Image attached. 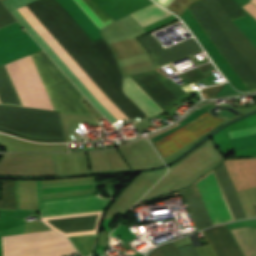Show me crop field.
Wrapping results in <instances>:
<instances>
[{
  "label": "crop field",
  "mask_w": 256,
  "mask_h": 256,
  "mask_svg": "<svg viewBox=\"0 0 256 256\" xmlns=\"http://www.w3.org/2000/svg\"><path fill=\"white\" fill-rule=\"evenodd\" d=\"M214 171L227 199L234 219L236 220L246 217L235 192L236 189L232 183V180L227 172L224 163L220 164L217 168L214 169Z\"/></svg>",
  "instance_id": "obj_13"
},
{
  "label": "crop field",
  "mask_w": 256,
  "mask_h": 256,
  "mask_svg": "<svg viewBox=\"0 0 256 256\" xmlns=\"http://www.w3.org/2000/svg\"><path fill=\"white\" fill-rule=\"evenodd\" d=\"M203 232L217 256H242L226 225Z\"/></svg>",
  "instance_id": "obj_12"
},
{
  "label": "crop field",
  "mask_w": 256,
  "mask_h": 256,
  "mask_svg": "<svg viewBox=\"0 0 256 256\" xmlns=\"http://www.w3.org/2000/svg\"><path fill=\"white\" fill-rule=\"evenodd\" d=\"M2 193L0 208L16 210L15 181H2Z\"/></svg>",
  "instance_id": "obj_18"
},
{
  "label": "crop field",
  "mask_w": 256,
  "mask_h": 256,
  "mask_svg": "<svg viewBox=\"0 0 256 256\" xmlns=\"http://www.w3.org/2000/svg\"><path fill=\"white\" fill-rule=\"evenodd\" d=\"M23 8L43 29V31L52 39V41L60 48V50L69 58V60L77 67V69L86 77V79L94 86V88L103 96V98L111 105V107L120 115V117L123 120H127L124 117V115L115 107V105L107 98V96L98 88V86L89 78V76L81 69V67L64 50V48L38 21V19L29 11V9L26 6H23ZM23 8L20 7L12 11V13L30 32V34L35 38V40L40 44V46L45 50V52L50 56V58L69 77V79L85 95V97L92 103V105L97 110H99L111 123L120 120L121 118L119 117V115L110 107V105L93 88V86L76 69V67L59 50V48L51 41V39L42 31V29L34 22V20L25 12Z\"/></svg>",
  "instance_id": "obj_1"
},
{
  "label": "crop field",
  "mask_w": 256,
  "mask_h": 256,
  "mask_svg": "<svg viewBox=\"0 0 256 256\" xmlns=\"http://www.w3.org/2000/svg\"><path fill=\"white\" fill-rule=\"evenodd\" d=\"M111 200L97 196L41 202V215L55 216L104 210Z\"/></svg>",
  "instance_id": "obj_8"
},
{
  "label": "crop field",
  "mask_w": 256,
  "mask_h": 256,
  "mask_svg": "<svg viewBox=\"0 0 256 256\" xmlns=\"http://www.w3.org/2000/svg\"><path fill=\"white\" fill-rule=\"evenodd\" d=\"M139 39L152 54L157 67L202 50L194 38L185 40L167 50L151 34Z\"/></svg>",
  "instance_id": "obj_10"
},
{
  "label": "crop field",
  "mask_w": 256,
  "mask_h": 256,
  "mask_svg": "<svg viewBox=\"0 0 256 256\" xmlns=\"http://www.w3.org/2000/svg\"><path fill=\"white\" fill-rule=\"evenodd\" d=\"M132 78L169 116L174 114L169 108L189 96L156 71L132 76Z\"/></svg>",
  "instance_id": "obj_6"
},
{
  "label": "crop field",
  "mask_w": 256,
  "mask_h": 256,
  "mask_svg": "<svg viewBox=\"0 0 256 256\" xmlns=\"http://www.w3.org/2000/svg\"><path fill=\"white\" fill-rule=\"evenodd\" d=\"M155 2H157V3H159V4H161V5H163V6H165L168 10H170L171 12H173V13H175V14H177V15H181L184 11H185V9L187 8V6L190 4V3H192L193 1H195V0H167V1H165V0H154ZM163 1H165V2H163ZM165 3L166 5H168V6H170L171 8H173L174 10H176V11H178L179 13H181V14H179L178 12H176V11H174L173 9H171L170 7H168V6H166L165 4H163V3ZM164 7V8H165Z\"/></svg>",
  "instance_id": "obj_19"
},
{
  "label": "crop field",
  "mask_w": 256,
  "mask_h": 256,
  "mask_svg": "<svg viewBox=\"0 0 256 256\" xmlns=\"http://www.w3.org/2000/svg\"><path fill=\"white\" fill-rule=\"evenodd\" d=\"M6 66L24 106L54 110L31 55Z\"/></svg>",
  "instance_id": "obj_4"
},
{
  "label": "crop field",
  "mask_w": 256,
  "mask_h": 256,
  "mask_svg": "<svg viewBox=\"0 0 256 256\" xmlns=\"http://www.w3.org/2000/svg\"><path fill=\"white\" fill-rule=\"evenodd\" d=\"M124 91L149 117L163 112L130 77L124 79Z\"/></svg>",
  "instance_id": "obj_14"
},
{
  "label": "crop field",
  "mask_w": 256,
  "mask_h": 256,
  "mask_svg": "<svg viewBox=\"0 0 256 256\" xmlns=\"http://www.w3.org/2000/svg\"><path fill=\"white\" fill-rule=\"evenodd\" d=\"M149 256H180V254L172 243L155 249Z\"/></svg>",
  "instance_id": "obj_20"
},
{
  "label": "crop field",
  "mask_w": 256,
  "mask_h": 256,
  "mask_svg": "<svg viewBox=\"0 0 256 256\" xmlns=\"http://www.w3.org/2000/svg\"><path fill=\"white\" fill-rule=\"evenodd\" d=\"M197 185L215 224L233 220L214 173L210 174Z\"/></svg>",
  "instance_id": "obj_9"
},
{
  "label": "crop field",
  "mask_w": 256,
  "mask_h": 256,
  "mask_svg": "<svg viewBox=\"0 0 256 256\" xmlns=\"http://www.w3.org/2000/svg\"><path fill=\"white\" fill-rule=\"evenodd\" d=\"M250 1H252L253 3H255V4H256V0H250Z\"/></svg>",
  "instance_id": "obj_23"
},
{
  "label": "crop field",
  "mask_w": 256,
  "mask_h": 256,
  "mask_svg": "<svg viewBox=\"0 0 256 256\" xmlns=\"http://www.w3.org/2000/svg\"><path fill=\"white\" fill-rule=\"evenodd\" d=\"M130 15L145 27L171 14L152 3Z\"/></svg>",
  "instance_id": "obj_16"
},
{
  "label": "crop field",
  "mask_w": 256,
  "mask_h": 256,
  "mask_svg": "<svg viewBox=\"0 0 256 256\" xmlns=\"http://www.w3.org/2000/svg\"><path fill=\"white\" fill-rule=\"evenodd\" d=\"M188 9L244 84L250 91L255 90L256 73L220 28L211 14L207 11L201 1L198 0L193 2Z\"/></svg>",
  "instance_id": "obj_2"
},
{
  "label": "crop field",
  "mask_w": 256,
  "mask_h": 256,
  "mask_svg": "<svg viewBox=\"0 0 256 256\" xmlns=\"http://www.w3.org/2000/svg\"><path fill=\"white\" fill-rule=\"evenodd\" d=\"M82 10L89 16V18L96 24V26L101 29L104 25L100 22V20L93 14V12L86 6V4L82 0H74Z\"/></svg>",
  "instance_id": "obj_21"
},
{
  "label": "crop field",
  "mask_w": 256,
  "mask_h": 256,
  "mask_svg": "<svg viewBox=\"0 0 256 256\" xmlns=\"http://www.w3.org/2000/svg\"><path fill=\"white\" fill-rule=\"evenodd\" d=\"M242 7L247 10L254 18H256V6L253 3L250 2Z\"/></svg>",
  "instance_id": "obj_22"
},
{
  "label": "crop field",
  "mask_w": 256,
  "mask_h": 256,
  "mask_svg": "<svg viewBox=\"0 0 256 256\" xmlns=\"http://www.w3.org/2000/svg\"><path fill=\"white\" fill-rule=\"evenodd\" d=\"M223 120L201 113L190 122L154 142L164 157L197 140Z\"/></svg>",
  "instance_id": "obj_5"
},
{
  "label": "crop field",
  "mask_w": 256,
  "mask_h": 256,
  "mask_svg": "<svg viewBox=\"0 0 256 256\" xmlns=\"http://www.w3.org/2000/svg\"><path fill=\"white\" fill-rule=\"evenodd\" d=\"M180 192L197 229L214 225L196 183Z\"/></svg>",
  "instance_id": "obj_11"
},
{
  "label": "crop field",
  "mask_w": 256,
  "mask_h": 256,
  "mask_svg": "<svg viewBox=\"0 0 256 256\" xmlns=\"http://www.w3.org/2000/svg\"><path fill=\"white\" fill-rule=\"evenodd\" d=\"M230 137H238L256 133V127L228 132ZM235 149L256 146V134L231 139Z\"/></svg>",
  "instance_id": "obj_17"
},
{
  "label": "crop field",
  "mask_w": 256,
  "mask_h": 256,
  "mask_svg": "<svg viewBox=\"0 0 256 256\" xmlns=\"http://www.w3.org/2000/svg\"><path fill=\"white\" fill-rule=\"evenodd\" d=\"M247 229H248V235H249L252 256H256V229L249 228V227H247ZM247 229H246V227L235 228V229H231V232H232L235 240L237 241L243 255L251 256L248 235H247Z\"/></svg>",
  "instance_id": "obj_15"
},
{
  "label": "crop field",
  "mask_w": 256,
  "mask_h": 256,
  "mask_svg": "<svg viewBox=\"0 0 256 256\" xmlns=\"http://www.w3.org/2000/svg\"><path fill=\"white\" fill-rule=\"evenodd\" d=\"M38 50L41 48L18 23L0 30V65Z\"/></svg>",
  "instance_id": "obj_7"
},
{
  "label": "crop field",
  "mask_w": 256,
  "mask_h": 256,
  "mask_svg": "<svg viewBox=\"0 0 256 256\" xmlns=\"http://www.w3.org/2000/svg\"><path fill=\"white\" fill-rule=\"evenodd\" d=\"M3 256H62L77 252L69 240L49 230L2 237Z\"/></svg>",
  "instance_id": "obj_3"
}]
</instances>
